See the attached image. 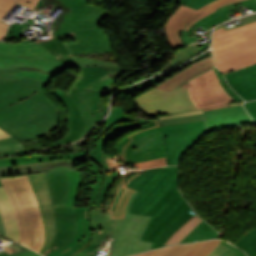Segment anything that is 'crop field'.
<instances>
[{"label":"crop field","instance_id":"obj_1","mask_svg":"<svg viewBox=\"0 0 256 256\" xmlns=\"http://www.w3.org/2000/svg\"><path fill=\"white\" fill-rule=\"evenodd\" d=\"M107 119L105 122L107 126L92 141L89 157L93 161L88 164L92 167L89 170L94 177V187L88 207L107 209L113 218H124L126 203L130 195L135 191L128 187L127 184L130 179L144 170L118 174L109 158L104 154V145L114 136H119L136 127L141 128L137 131L139 132L157 127L158 125L156 120L128 118L123 109L114 106L111 115ZM133 134L122 138L116 145V150L121 161L124 160L125 147L133 139L130 137Z\"/></svg>","mask_w":256,"mask_h":256},{"label":"crop field","instance_id":"obj_2","mask_svg":"<svg viewBox=\"0 0 256 256\" xmlns=\"http://www.w3.org/2000/svg\"><path fill=\"white\" fill-rule=\"evenodd\" d=\"M130 187L140 190L130 212L153 216L141 239L161 247L195 212L178 190V166L152 168L132 179ZM150 249V250H151Z\"/></svg>","mask_w":256,"mask_h":256},{"label":"crop field","instance_id":"obj_3","mask_svg":"<svg viewBox=\"0 0 256 256\" xmlns=\"http://www.w3.org/2000/svg\"><path fill=\"white\" fill-rule=\"evenodd\" d=\"M45 85L0 72V127L21 142L48 135L59 123V112L44 94Z\"/></svg>","mask_w":256,"mask_h":256},{"label":"crop field","instance_id":"obj_4","mask_svg":"<svg viewBox=\"0 0 256 256\" xmlns=\"http://www.w3.org/2000/svg\"><path fill=\"white\" fill-rule=\"evenodd\" d=\"M76 68L79 71L78 78L67 93L72 96L85 118L86 129L83 137L103 120L108 112V106H105L104 100L101 98L103 92L110 88L121 72L128 69L111 66Z\"/></svg>","mask_w":256,"mask_h":256},{"label":"crop field","instance_id":"obj_5","mask_svg":"<svg viewBox=\"0 0 256 256\" xmlns=\"http://www.w3.org/2000/svg\"><path fill=\"white\" fill-rule=\"evenodd\" d=\"M13 208L20 243L40 251L45 240L43 223L36 198L26 175L0 178Z\"/></svg>","mask_w":256,"mask_h":256},{"label":"crop field","instance_id":"obj_6","mask_svg":"<svg viewBox=\"0 0 256 256\" xmlns=\"http://www.w3.org/2000/svg\"><path fill=\"white\" fill-rule=\"evenodd\" d=\"M66 67L37 42H0V71L50 82Z\"/></svg>","mask_w":256,"mask_h":256},{"label":"crop field","instance_id":"obj_7","mask_svg":"<svg viewBox=\"0 0 256 256\" xmlns=\"http://www.w3.org/2000/svg\"><path fill=\"white\" fill-rule=\"evenodd\" d=\"M212 48L215 64L223 74L255 64L256 22L228 31L219 26Z\"/></svg>","mask_w":256,"mask_h":256},{"label":"crop field","instance_id":"obj_8","mask_svg":"<svg viewBox=\"0 0 256 256\" xmlns=\"http://www.w3.org/2000/svg\"><path fill=\"white\" fill-rule=\"evenodd\" d=\"M48 52L57 57L66 67L118 64L76 58L72 54L113 51L108 35L99 27L56 38L37 40Z\"/></svg>","mask_w":256,"mask_h":256},{"label":"crop field","instance_id":"obj_9","mask_svg":"<svg viewBox=\"0 0 256 256\" xmlns=\"http://www.w3.org/2000/svg\"><path fill=\"white\" fill-rule=\"evenodd\" d=\"M45 174L50 189L56 234L52 245L43 255L64 247L72 240L76 232L74 207H64L68 188L65 174L63 171L47 172Z\"/></svg>","mask_w":256,"mask_h":256},{"label":"crop field","instance_id":"obj_10","mask_svg":"<svg viewBox=\"0 0 256 256\" xmlns=\"http://www.w3.org/2000/svg\"><path fill=\"white\" fill-rule=\"evenodd\" d=\"M133 101L136 106L148 114L175 112V115L159 117V119L203 113L202 110L197 109L190 99L187 83L170 93L159 91L152 87Z\"/></svg>","mask_w":256,"mask_h":256},{"label":"crop field","instance_id":"obj_11","mask_svg":"<svg viewBox=\"0 0 256 256\" xmlns=\"http://www.w3.org/2000/svg\"><path fill=\"white\" fill-rule=\"evenodd\" d=\"M138 191H135L126 207L125 219H116L110 247L115 251L109 256H129L148 251L152 243L139 240L151 217L129 213L130 204Z\"/></svg>","mask_w":256,"mask_h":256},{"label":"crop field","instance_id":"obj_12","mask_svg":"<svg viewBox=\"0 0 256 256\" xmlns=\"http://www.w3.org/2000/svg\"><path fill=\"white\" fill-rule=\"evenodd\" d=\"M60 5L66 6L69 10L56 20L58 25L53 30L52 36L70 34L81 30L99 26V22L110 16L107 11L94 5H88V0H59ZM43 0H40L36 10L43 6Z\"/></svg>","mask_w":256,"mask_h":256},{"label":"crop field","instance_id":"obj_13","mask_svg":"<svg viewBox=\"0 0 256 256\" xmlns=\"http://www.w3.org/2000/svg\"><path fill=\"white\" fill-rule=\"evenodd\" d=\"M188 88L191 99L203 111L243 103H236L224 91L213 69L189 81Z\"/></svg>","mask_w":256,"mask_h":256},{"label":"crop field","instance_id":"obj_14","mask_svg":"<svg viewBox=\"0 0 256 256\" xmlns=\"http://www.w3.org/2000/svg\"><path fill=\"white\" fill-rule=\"evenodd\" d=\"M242 0H216L198 10L181 5L173 15H171L164 27L167 30L168 39L173 49L183 47L181 41V31L187 32L190 26L216 9L234 2Z\"/></svg>","mask_w":256,"mask_h":256},{"label":"crop field","instance_id":"obj_15","mask_svg":"<svg viewBox=\"0 0 256 256\" xmlns=\"http://www.w3.org/2000/svg\"><path fill=\"white\" fill-rule=\"evenodd\" d=\"M27 176L37 198L44 223L46 241L40 252L42 254L51 245L55 234L48 184L44 173L32 174Z\"/></svg>","mask_w":256,"mask_h":256},{"label":"crop field","instance_id":"obj_16","mask_svg":"<svg viewBox=\"0 0 256 256\" xmlns=\"http://www.w3.org/2000/svg\"><path fill=\"white\" fill-rule=\"evenodd\" d=\"M204 114L208 131L226 126L254 123L242 105L210 110Z\"/></svg>","mask_w":256,"mask_h":256},{"label":"crop field","instance_id":"obj_17","mask_svg":"<svg viewBox=\"0 0 256 256\" xmlns=\"http://www.w3.org/2000/svg\"><path fill=\"white\" fill-rule=\"evenodd\" d=\"M115 219H112L107 210L95 209L91 212V224L94 226V236L92 239V244L88 249H85L81 253L74 256H90L97 253L94 250L95 247L100 245H105L106 240H109L112 236L113 226Z\"/></svg>","mask_w":256,"mask_h":256},{"label":"crop field","instance_id":"obj_18","mask_svg":"<svg viewBox=\"0 0 256 256\" xmlns=\"http://www.w3.org/2000/svg\"><path fill=\"white\" fill-rule=\"evenodd\" d=\"M68 111V130L67 134L60 140L50 143L51 147L65 145L77 141L84 128V119L73 99L68 94H61L56 97Z\"/></svg>","mask_w":256,"mask_h":256},{"label":"crop field","instance_id":"obj_19","mask_svg":"<svg viewBox=\"0 0 256 256\" xmlns=\"http://www.w3.org/2000/svg\"><path fill=\"white\" fill-rule=\"evenodd\" d=\"M224 76L228 84L245 100L256 99V65Z\"/></svg>","mask_w":256,"mask_h":256},{"label":"crop field","instance_id":"obj_20","mask_svg":"<svg viewBox=\"0 0 256 256\" xmlns=\"http://www.w3.org/2000/svg\"><path fill=\"white\" fill-rule=\"evenodd\" d=\"M220 240H209L204 242L175 245L135 256H207Z\"/></svg>","mask_w":256,"mask_h":256},{"label":"crop field","instance_id":"obj_21","mask_svg":"<svg viewBox=\"0 0 256 256\" xmlns=\"http://www.w3.org/2000/svg\"><path fill=\"white\" fill-rule=\"evenodd\" d=\"M214 67L212 62V55L192 64L188 68L182 70L181 72L167 78L162 81L155 87L164 90V91H172L175 88L181 86V84L187 82L191 78L211 69Z\"/></svg>","mask_w":256,"mask_h":256},{"label":"crop field","instance_id":"obj_22","mask_svg":"<svg viewBox=\"0 0 256 256\" xmlns=\"http://www.w3.org/2000/svg\"><path fill=\"white\" fill-rule=\"evenodd\" d=\"M202 133L203 132L163 138L165 142L166 152L168 155V165L178 164V161L182 156L183 152L189 146H191V144L195 142V140L199 138Z\"/></svg>","mask_w":256,"mask_h":256},{"label":"crop field","instance_id":"obj_23","mask_svg":"<svg viewBox=\"0 0 256 256\" xmlns=\"http://www.w3.org/2000/svg\"><path fill=\"white\" fill-rule=\"evenodd\" d=\"M78 163L69 160H55L48 161L43 163H34V164H24L12 167L0 168L1 174L25 172V171H35V170H44L49 169V171H56L62 169H74Z\"/></svg>","mask_w":256,"mask_h":256},{"label":"crop field","instance_id":"obj_24","mask_svg":"<svg viewBox=\"0 0 256 256\" xmlns=\"http://www.w3.org/2000/svg\"><path fill=\"white\" fill-rule=\"evenodd\" d=\"M88 150V149H87ZM87 150L68 154V155H60V156H32V157H16L9 159H0V167L3 166H12L23 163H33V162H43L54 159H70L75 160L78 163L87 160L86 152Z\"/></svg>","mask_w":256,"mask_h":256},{"label":"crop field","instance_id":"obj_25","mask_svg":"<svg viewBox=\"0 0 256 256\" xmlns=\"http://www.w3.org/2000/svg\"><path fill=\"white\" fill-rule=\"evenodd\" d=\"M0 213L3 221L6 237L16 242H19L18 230H17L14 214L2 187H0Z\"/></svg>","mask_w":256,"mask_h":256},{"label":"crop field","instance_id":"obj_26","mask_svg":"<svg viewBox=\"0 0 256 256\" xmlns=\"http://www.w3.org/2000/svg\"><path fill=\"white\" fill-rule=\"evenodd\" d=\"M138 143L139 142H137L136 140L133 139L128 144V146L126 147V150H125V161H123V163L125 165L131 164V163H137V162L144 161V160H150V159L166 157V152H165V149H164V144L131 155L133 149L137 146Z\"/></svg>","mask_w":256,"mask_h":256},{"label":"crop field","instance_id":"obj_27","mask_svg":"<svg viewBox=\"0 0 256 256\" xmlns=\"http://www.w3.org/2000/svg\"><path fill=\"white\" fill-rule=\"evenodd\" d=\"M201 129H205L204 121L157 127V128L142 131L132 137L137 140L146 134L154 133L158 130H160L162 134H173V133L186 132V131H192V130H201Z\"/></svg>","mask_w":256,"mask_h":256},{"label":"crop field","instance_id":"obj_28","mask_svg":"<svg viewBox=\"0 0 256 256\" xmlns=\"http://www.w3.org/2000/svg\"><path fill=\"white\" fill-rule=\"evenodd\" d=\"M208 46L204 44L203 46H199L196 43L192 44L176 53V57H174L162 70L159 72L165 71L167 69H170L176 65H179L180 63L196 56L203 50H205Z\"/></svg>","mask_w":256,"mask_h":256},{"label":"crop field","instance_id":"obj_29","mask_svg":"<svg viewBox=\"0 0 256 256\" xmlns=\"http://www.w3.org/2000/svg\"><path fill=\"white\" fill-rule=\"evenodd\" d=\"M220 236L221 235H219L215 230H213L207 223L203 221L180 243H189L212 238H220Z\"/></svg>","mask_w":256,"mask_h":256},{"label":"crop field","instance_id":"obj_30","mask_svg":"<svg viewBox=\"0 0 256 256\" xmlns=\"http://www.w3.org/2000/svg\"><path fill=\"white\" fill-rule=\"evenodd\" d=\"M202 221L203 220L199 216H197V215L194 216L188 222H186L180 229H178L173 234V236L167 241V243L165 245L179 243L184 237H186Z\"/></svg>","mask_w":256,"mask_h":256},{"label":"crop field","instance_id":"obj_31","mask_svg":"<svg viewBox=\"0 0 256 256\" xmlns=\"http://www.w3.org/2000/svg\"><path fill=\"white\" fill-rule=\"evenodd\" d=\"M201 131H205V130H201ZM201 131H192V132H186V133L201 132ZM186 133H179V134H186ZM179 134H173V135H179ZM166 136H171V135H161L160 132H156L154 134L147 135V136L137 140L140 143L134 149L133 153L163 144L164 142L162 140V137H166Z\"/></svg>","mask_w":256,"mask_h":256},{"label":"crop field","instance_id":"obj_32","mask_svg":"<svg viewBox=\"0 0 256 256\" xmlns=\"http://www.w3.org/2000/svg\"><path fill=\"white\" fill-rule=\"evenodd\" d=\"M28 152L21 142L11 137L0 140V156Z\"/></svg>","mask_w":256,"mask_h":256},{"label":"crop field","instance_id":"obj_33","mask_svg":"<svg viewBox=\"0 0 256 256\" xmlns=\"http://www.w3.org/2000/svg\"><path fill=\"white\" fill-rule=\"evenodd\" d=\"M234 245L243 249L248 256H256V229L250 230Z\"/></svg>","mask_w":256,"mask_h":256},{"label":"crop field","instance_id":"obj_34","mask_svg":"<svg viewBox=\"0 0 256 256\" xmlns=\"http://www.w3.org/2000/svg\"><path fill=\"white\" fill-rule=\"evenodd\" d=\"M238 3H239V2H238ZM241 3L243 4L244 7H250V9H251L252 11H255V10H256V0H245V1H242ZM234 4H235V3H234ZM230 5H232V4H230ZM230 5H227V6L223 7V8L218 9L216 12H214V13L208 15V16L205 17L204 19H202V20H200L199 22H197L195 25L198 26V25H200V24H202V23H204V22H206V21H208V20H210V19H212V18H214V17H216V16H218L219 18H221L223 21L228 20L227 16H226L224 13L230 11V10H228V9L226 8V7L230 6Z\"/></svg>","mask_w":256,"mask_h":256},{"label":"crop field","instance_id":"obj_35","mask_svg":"<svg viewBox=\"0 0 256 256\" xmlns=\"http://www.w3.org/2000/svg\"><path fill=\"white\" fill-rule=\"evenodd\" d=\"M244 255L245 254L241 250L221 241V243L208 256H244Z\"/></svg>","mask_w":256,"mask_h":256},{"label":"crop field","instance_id":"obj_36","mask_svg":"<svg viewBox=\"0 0 256 256\" xmlns=\"http://www.w3.org/2000/svg\"><path fill=\"white\" fill-rule=\"evenodd\" d=\"M39 0H0V9L10 11L16 3L35 9Z\"/></svg>","mask_w":256,"mask_h":256},{"label":"crop field","instance_id":"obj_37","mask_svg":"<svg viewBox=\"0 0 256 256\" xmlns=\"http://www.w3.org/2000/svg\"><path fill=\"white\" fill-rule=\"evenodd\" d=\"M199 120H204L203 114L188 116V117L162 119V120H158L157 123L159 126H162V125L199 121Z\"/></svg>","mask_w":256,"mask_h":256},{"label":"crop field","instance_id":"obj_38","mask_svg":"<svg viewBox=\"0 0 256 256\" xmlns=\"http://www.w3.org/2000/svg\"><path fill=\"white\" fill-rule=\"evenodd\" d=\"M210 54H211V51H210V52H207V53H205V54H203V55H201L200 57H198V58H196L195 60L189 62L188 64H186V65H184V66H182V67H180V68H177V69H175V70H173V71H171V72H169V73H171V74L173 75V74H175V73L181 71L182 69L188 67V66H189L190 64H192L193 62H195V61H197V60H199V59H201V58H203V57H205V56H207V55H210ZM164 75H165V74H164ZM162 76H163V75H162ZM159 77H161V76H159ZM159 77L154 78V79H152V80H150V81H147V82H145V83H142V84H140V85H137V86H135V87H133V88H131V89L125 91L124 93L129 94V93L135 92V91H137L138 89H140V88H142V87L148 85V84L151 83L152 81L158 79Z\"/></svg>","mask_w":256,"mask_h":256},{"label":"crop field","instance_id":"obj_39","mask_svg":"<svg viewBox=\"0 0 256 256\" xmlns=\"http://www.w3.org/2000/svg\"><path fill=\"white\" fill-rule=\"evenodd\" d=\"M8 254H1L0 256H41L33 251L20 252L18 245H7L4 246Z\"/></svg>","mask_w":256,"mask_h":256},{"label":"crop field","instance_id":"obj_40","mask_svg":"<svg viewBox=\"0 0 256 256\" xmlns=\"http://www.w3.org/2000/svg\"><path fill=\"white\" fill-rule=\"evenodd\" d=\"M25 25H28V24L27 23H24L23 25L12 24L4 40H7V41H19V40H22L23 37L19 33V29L22 26H25Z\"/></svg>","mask_w":256,"mask_h":256},{"label":"crop field","instance_id":"obj_41","mask_svg":"<svg viewBox=\"0 0 256 256\" xmlns=\"http://www.w3.org/2000/svg\"><path fill=\"white\" fill-rule=\"evenodd\" d=\"M198 29H199L198 27L193 25L191 26L188 33H184V32L181 33L184 46L189 43L195 42L199 37H201L197 34V32H195Z\"/></svg>","mask_w":256,"mask_h":256},{"label":"crop field","instance_id":"obj_42","mask_svg":"<svg viewBox=\"0 0 256 256\" xmlns=\"http://www.w3.org/2000/svg\"><path fill=\"white\" fill-rule=\"evenodd\" d=\"M165 165H167L166 159L162 158V159H156V160H150V161H144V162L137 163L138 167H134L132 169L158 167V166H165Z\"/></svg>","mask_w":256,"mask_h":256},{"label":"crop field","instance_id":"obj_43","mask_svg":"<svg viewBox=\"0 0 256 256\" xmlns=\"http://www.w3.org/2000/svg\"><path fill=\"white\" fill-rule=\"evenodd\" d=\"M174 1L180 4H184V5L198 9L213 0H174Z\"/></svg>","mask_w":256,"mask_h":256},{"label":"crop field","instance_id":"obj_44","mask_svg":"<svg viewBox=\"0 0 256 256\" xmlns=\"http://www.w3.org/2000/svg\"><path fill=\"white\" fill-rule=\"evenodd\" d=\"M244 106L246 107L248 113L256 121V101L246 102Z\"/></svg>","mask_w":256,"mask_h":256},{"label":"crop field","instance_id":"obj_45","mask_svg":"<svg viewBox=\"0 0 256 256\" xmlns=\"http://www.w3.org/2000/svg\"><path fill=\"white\" fill-rule=\"evenodd\" d=\"M221 22H223L222 20H220L218 17L199 26L202 30H204L205 32L208 31L210 28L220 24Z\"/></svg>","mask_w":256,"mask_h":256},{"label":"crop field","instance_id":"obj_46","mask_svg":"<svg viewBox=\"0 0 256 256\" xmlns=\"http://www.w3.org/2000/svg\"><path fill=\"white\" fill-rule=\"evenodd\" d=\"M6 11H0V20L7 14ZM8 24H4L0 22V40L3 38L6 30H7Z\"/></svg>","mask_w":256,"mask_h":256},{"label":"crop field","instance_id":"obj_47","mask_svg":"<svg viewBox=\"0 0 256 256\" xmlns=\"http://www.w3.org/2000/svg\"><path fill=\"white\" fill-rule=\"evenodd\" d=\"M239 20L241 21V23L243 25L246 24V23H249V22L256 21V14L251 15V16H247V17H243V18H241Z\"/></svg>","mask_w":256,"mask_h":256},{"label":"crop field","instance_id":"obj_48","mask_svg":"<svg viewBox=\"0 0 256 256\" xmlns=\"http://www.w3.org/2000/svg\"><path fill=\"white\" fill-rule=\"evenodd\" d=\"M10 137L7 133H5L1 128H0V139Z\"/></svg>","mask_w":256,"mask_h":256},{"label":"crop field","instance_id":"obj_49","mask_svg":"<svg viewBox=\"0 0 256 256\" xmlns=\"http://www.w3.org/2000/svg\"><path fill=\"white\" fill-rule=\"evenodd\" d=\"M0 234L5 236L3 225H2V221H1V217H0Z\"/></svg>","mask_w":256,"mask_h":256},{"label":"crop field","instance_id":"obj_50","mask_svg":"<svg viewBox=\"0 0 256 256\" xmlns=\"http://www.w3.org/2000/svg\"><path fill=\"white\" fill-rule=\"evenodd\" d=\"M25 28L28 29L29 27H28V26H25V27L21 28V29H20V32H21V34L23 35L24 39H27L28 37L25 36V34H24V32H23V29H25Z\"/></svg>","mask_w":256,"mask_h":256},{"label":"crop field","instance_id":"obj_51","mask_svg":"<svg viewBox=\"0 0 256 256\" xmlns=\"http://www.w3.org/2000/svg\"><path fill=\"white\" fill-rule=\"evenodd\" d=\"M20 248H21V251L29 250V249H27V248H25V247H23V246H21V245H20Z\"/></svg>","mask_w":256,"mask_h":256},{"label":"crop field","instance_id":"obj_52","mask_svg":"<svg viewBox=\"0 0 256 256\" xmlns=\"http://www.w3.org/2000/svg\"><path fill=\"white\" fill-rule=\"evenodd\" d=\"M0 186H2L1 182H0Z\"/></svg>","mask_w":256,"mask_h":256},{"label":"crop field","instance_id":"obj_53","mask_svg":"<svg viewBox=\"0 0 256 256\" xmlns=\"http://www.w3.org/2000/svg\"><path fill=\"white\" fill-rule=\"evenodd\" d=\"M246 256V255H245Z\"/></svg>","mask_w":256,"mask_h":256}]
</instances>
